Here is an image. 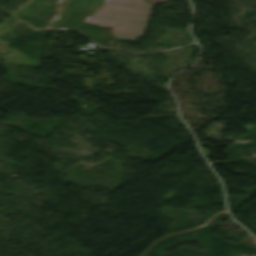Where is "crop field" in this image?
<instances>
[{"label":"crop field","instance_id":"obj_1","mask_svg":"<svg viewBox=\"0 0 256 256\" xmlns=\"http://www.w3.org/2000/svg\"><path fill=\"white\" fill-rule=\"evenodd\" d=\"M152 7L143 0H108L86 23L112 28L115 39L136 43L145 32Z\"/></svg>","mask_w":256,"mask_h":256},{"label":"crop field","instance_id":"obj_2","mask_svg":"<svg viewBox=\"0 0 256 256\" xmlns=\"http://www.w3.org/2000/svg\"><path fill=\"white\" fill-rule=\"evenodd\" d=\"M107 0H60V12L48 28L78 29Z\"/></svg>","mask_w":256,"mask_h":256},{"label":"crop field","instance_id":"obj_3","mask_svg":"<svg viewBox=\"0 0 256 256\" xmlns=\"http://www.w3.org/2000/svg\"><path fill=\"white\" fill-rule=\"evenodd\" d=\"M147 1H149L152 4H154V3H157V2L162 1V0H147Z\"/></svg>","mask_w":256,"mask_h":256}]
</instances>
